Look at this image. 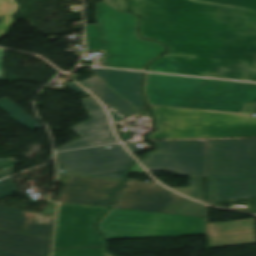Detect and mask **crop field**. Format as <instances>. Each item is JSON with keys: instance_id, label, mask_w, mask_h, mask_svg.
Returning a JSON list of instances; mask_svg holds the SVG:
<instances>
[{"instance_id": "obj_1", "label": "crop field", "mask_w": 256, "mask_h": 256, "mask_svg": "<svg viewBox=\"0 0 256 256\" xmlns=\"http://www.w3.org/2000/svg\"><path fill=\"white\" fill-rule=\"evenodd\" d=\"M170 52L150 71L256 81V0H131Z\"/></svg>"}, {"instance_id": "obj_2", "label": "crop field", "mask_w": 256, "mask_h": 256, "mask_svg": "<svg viewBox=\"0 0 256 256\" xmlns=\"http://www.w3.org/2000/svg\"><path fill=\"white\" fill-rule=\"evenodd\" d=\"M96 18L97 24L86 25V42L89 50L106 53L103 66L144 70L147 62L166 50L136 36L138 18L131 13L97 3Z\"/></svg>"}, {"instance_id": "obj_3", "label": "crop field", "mask_w": 256, "mask_h": 256, "mask_svg": "<svg viewBox=\"0 0 256 256\" xmlns=\"http://www.w3.org/2000/svg\"><path fill=\"white\" fill-rule=\"evenodd\" d=\"M158 131L149 139L256 137V117L235 114L150 106Z\"/></svg>"}, {"instance_id": "obj_4", "label": "crop field", "mask_w": 256, "mask_h": 256, "mask_svg": "<svg viewBox=\"0 0 256 256\" xmlns=\"http://www.w3.org/2000/svg\"><path fill=\"white\" fill-rule=\"evenodd\" d=\"M107 240L206 235L205 218L111 208L98 224Z\"/></svg>"}, {"instance_id": "obj_5", "label": "crop field", "mask_w": 256, "mask_h": 256, "mask_svg": "<svg viewBox=\"0 0 256 256\" xmlns=\"http://www.w3.org/2000/svg\"><path fill=\"white\" fill-rule=\"evenodd\" d=\"M56 153L61 175L75 174L123 180L134 161L121 144Z\"/></svg>"}, {"instance_id": "obj_6", "label": "crop field", "mask_w": 256, "mask_h": 256, "mask_svg": "<svg viewBox=\"0 0 256 256\" xmlns=\"http://www.w3.org/2000/svg\"><path fill=\"white\" fill-rule=\"evenodd\" d=\"M207 176L256 179V139L206 141Z\"/></svg>"}, {"instance_id": "obj_7", "label": "crop field", "mask_w": 256, "mask_h": 256, "mask_svg": "<svg viewBox=\"0 0 256 256\" xmlns=\"http://www.w3.org/2000/svg\"><path fill=\"white\" fill-rule=\"evenodd\" d=\"M158 151L148 155L143 164L149 171H170L184 176H206L205 141L154 142Z\"/></svg>"}, {"instance_id": "obj_8", "label": "crop field", "mask_w": 256, "mask_h": 256, "mask_svg": "<svg viewBox=\"0 0 256 256\" xmlns=\"http://www.w3.org/2000/svg\"><path fill=\"white\" fill-rule=\"evenodd\" d=\"M106 208L60 203L54 248L105 245L93 227Z\"/></svg>"}, {"instance_id": "obj_9", "label": "crop field", "mask_w": 256, "mask_h": 256, "mask_svg": "<svg viewBox=\"0 0 256 256\" xmlns=\"http://www.w3.org/2000/svg\"><path fill=\"white\" fill-rule=\"evenodd\" d=\"M0 227L43 236V238L0 229V248L34 256H48L52 227L29 226L22 211L0 206Z\"/></svg>"}, {"instance_id": "obj_10", "label": "crop field", "mask_w": 256, "mask_h": 256, "mask_svg": "<svg viewBox=\"0 0 256 256\" xmlns=\"http://www.w3.org/2000/svg\"><path fill=\"white\" fill-rule=\"evenodd\" d=\"M120 182L70 175L55 200L108 207L111 193Z\"/></svg>"}, {"instance_id": "obj_11", "label": "crop field", "mask_w": 256, "mask_h": 256, "mask_svg": "<svg viewBox=\"0 0 256 256\" xmlns=\"http://www.w3.org/2000/svg\"><path fill=\"white\" fill-rule=\"evenodd\" d=\"M171 199L169 190L157 183L150 184L128 179L117 192L112 207L160 212Z\"/></svg>"}, {"instance_id": "obj_12", "label": "crop field", "mask_w": 256, "mask_h": 256, "mask_svg": "<svg viewBox=\"0 0 256 256\" xmlns=\"http://www.w3.org/2000/svg\"><path fill=\"white\" fill-rule=\"evenodd\" d=\"M83 100L92 116V120L72 128L83 138L59 147L56 151L118 142L110 126L101 130L108 119L104 108L93 97Z\"/></svg>"}, {"instance_id": "obj_13", "label": "crop field", "mask_w": 256, "mask_h": 256, "mask_svg": "<svg viewBox=\"0 0 256 256\" xmlns=\"http://www.w3.org/2000/svg\"><path fill=\"white\" fill-rule=\"evenodd\" d=\"M209 248L256 243L255 219L208 224Z\"/></svg>"}, {"instance_id": "obj_14", "label": "crop field", "mask_w": 256, "mask_h": 256, "mask_svg": "<svg viewBox=\"0 0 256 256\" xmlns=\"http://www.w3.org/2000/svg\"><path fill=\"white\" fill-rule=\"evenodd\" d=\"M95 75L136 109L141 110L145 104L141 94L143 73L97 68Z\"/></svg>"}, {"instance_id": "obj_15", "label": "crop field", "mask_w": 256, "mask_h": 256, "mask_svg": "<svg viewBox=\"0 0 256 256\" xmlns=\"http://www.w3.org/2000/svg\"><path fill=\"white\" fill-rule=\"evenodd\" d=\"M80 84L100 98L107 107H112L126 118L139 113L138 110L116 94L107 84L100 81L97 77L80 82Z\"/></svg>"}, {"instance_id": "obj_16", "label": "crop field", "mask_w": 256, "mask_h": 256, "mask_svg": "<svg viewBox=\"0 0 256 256\" xmlns=\"http://www.w3.org/2000/svg\"><path fill=\"white\" fill-rule=\"evenodd\" d=\"M216 201L249 198V180L215 179Z\"/></svg>"}, {"instance_id": "obj_17", "label": "crop field", "mask_w": 256, "mask_h": 256, "mask_svg": "<svg viewBox=\"0 0 256 256\" xmlns=\"http://www.w3.org/2000/svg\"><path fill=\"white\" fill-rule=\"evenodd\" d=\"M172 197V201L162 212L205 217L203 204L190 201L175 193L172 194Z\"/></svg>"}, {"instance_id": "obj_18", "label": "crop field", "mask_w": 256, "mask_h": 256, "mask_svg": "<svg viewBox=\"0 0 256 256\" xmlns=\"http://www.w3.org/2000/svg\"><path fill=\"white\" fill-rule=\"evenodd\" d=\"M190 185L188 188H172L173 190L191 196L205 203L215 205L214 179L207 178V196L208 202L204 201L203 178L190 177Z\"/></svg>"}, {"instance_id": "obj_19", "label": "crop field", "mask_w": 256, "mask_h": 256, "mask_svg": "<svg viewBox=\"0 0 256 256\" xmlns=\"http://www.w3.org/2000/svg\"><path fill=\"white\" fill-rule=\"evenodd\" d=\"M0 108L8 113L10 118L14 119L30 130L38 128V124L42 126V124H40L7 98L0 100Z\"/></svg>"}, {"instance_id": "obj_20", "label": "crop field", "mask_w": 256, "mask_h": 256, "mask_svg": "<svg viewBox=\"0 0 256 256\" xmlns=\"http://www.w3.org/2000/svg\"><path fill=\"white\" fill-rule=\"evenodd\" d=\"M19 4L14 0H0V38L8 33L14 19L10 17L18 8Z\"/></svg>"}, {"instance_id": "obj_21", "label": "crop field", "mask_w": 256, "mask_h": 256, "mask_svg": "<svg viewBox=\"0 0 256 256\" xmlns=\"http://www.w3.org/2000/svg\"><path fill=\"white\" fill-rule=\"evenodd\" d=\"M53 256H112L106 252V247L54 250Z\"/></svg>"}, {"instance_id": "obj_22", "label": "crop field", "mask_w": 256, "mask_h": 256, "mask_svg": "<svg viewBox=\"0 0 256 256\" xmlns=\"http://www.w3.org/2000/svg\"><path fill=\"white\" fill-rule=\"evenodd\" d=\"M29 225L53 226L55 217L23 211Z\"/></svg>"}, {"instance_id": "obj_23", "label": "crop field", "mask_w": 256, "mask_h": 256, "mask_svg": "<svg viewBox=\"0 0 256 256\" xmlns=\"http://www.w3.org/2000/svg\"><path fill=\"white\" fill-rule=\"evenodd\" d=\"M16 192V189L13 186L11 178L3 180L0 182V199Z\"/></svg>"}, {"instance_id": "obj_24", "label": "crop field", "mask_w": 256, "mask_h": 256, "mask_svg": "<svg viewBox=\"0 0 256 256\" xmlns=\"http://www.w3.org/2000/svg\"><path fill=\"white\" fill-rule=\"evenodd\" d=\"M103 2L117 8L120 11L127 12L125 0H103Z\"/></svg>"}, {"instance_id": "obj_25", "label": "crop field", "mask_w": 256, "mask_h": 256, "mask_svg": "<svg viewBox=\"0 0 256 256\" xmlns=\"http://www.w3.org/2000/svg\"><path fill=\"white\" fill-rule=\"evenodd\" d=\"M19 164L12 159H0V171Z\"/></svg>"}, {"instance_id": "obj_26", "label": "crop field", "mask_w": 256, "mask_h": 256, "mask_svg": "<svg viewBox=\"0 0 256 256\" xmlns=\"http://www.w3.org/2000/svg\"><path fill=\"white\" fill-rule=\"evenodd\" d=\"M56 206H57V203L52 202V203H51L47 208H45L41 213H42V214H48V215H53V216H55Z\"/></svg>"}, {"instance_id": "obj_27", "label": "crop field", "mask_w": 256, "mask_h": 256, "mask_svg": "<svg viewBox=\"0 0 256 256\" xmlns=\"http://www.w3.org/2000/svg\"><path fill=\"white\" fill-rule=\"evenodd\" d=\"M0 256H29V255H25V254L13 252V251H8V250L0 249Z\"/></svg>"}, {"instance_id": "obj_28", "label": "crop field", "mask_w": 256, "mask_h": 256, "mask_svg": "<svg viewBox=\"0 0 256 256\" xmlns=\"http://www.w3.org/2000/svg\"><path fill=\"white\" fill-rule=\"evenodd\" d=\"M16 166L0 172V179L7 177L15 172Z\"/></svg>"}, {"instance_id": "obj_29", "label": "crop field", "mask_w": 256, "mask_h": 256, "mask_svg": "<svg viewBox=\"0 0 256 256\" xmlns=\"http://www.w3.org/2000/svg\"><path fill=\"white\" fill-rule=\"evenodd\" d=\"M66 85L69 86L76 93H87L75 83H67Z\"/></svg>"}, {"instance_id": "obj_30", "label": "crop field", "mask_w": 256, "mask_h": 256, "mask_svg": "<svg viewBox=\"0 0 256 256\" xmlns=\"http://www.w3.org/2000/svg\"><path fill=\"white\" fill-rule=\"evenodd\" d=\"M131 173L147 174L138 163L133 166Z\"/></svg>"}, {"instance_id": "obj_31", "label": "crop field", "mask_w": 256, "mask_h": 256, "mask_svg": "<svg viewBox=\"0 0 256 256\" xmlns=\"http://www.w3.org/2000/svg\"><path fill=\"white\" fill-rule=\"evenodd\" d=\"M5 50L0 49V78H3V56Z\"/></svg>"}, {"instance_id": "obj_32", "label": "crop field", "mask_w": 256, "mask_h": 256, "mask_svg": "<svg viewBox=\"0 0 256 256\" xmlns=\"http://www.w3.org/2000/svg\"><path fill=\"white\" fill-rule=\"evenodd\" d=\"M251 197H256V180H250Z\"/></svg>"}, {"instance_id": "obj_33", "label": "crop field", "mask_w": 256, "mask_h": 256, "mask_svg": "<svg viewBox=\"0 0 256 256\" xmlns=\"http://www.w3.org/2000/svg\"><path fill=\"white\" fill-rule=\"evenodd\" d=\"M256 105L247 104L243 113H253Z\"/></svg>"}, {"instance_id": "obj_34", "label": "crop field", "mask_w": 256, "mask_h": 256, "mask_svg": "<svg viewBox=\"0 0 256 256\" xmlns=\"http://www.w3.org/2000/svg\"><path fill=\"white\" fill-rule=\"evenodd\" d=\"M109 110H110V112L112 114V117H113L115 123L118 122V121L123 120V118L120 117L118 114H116L114 111H112L111 109H109Z\"/></svg>"}, {"instance_id": "obj_35", "label": "crop field", "mask_w": 256, "mask_h": 256, "mask_svg": "<svg viewBox=\"0 0 256 256\" xmlns=\"http://www.w3.org/2000/svg\"><path fill=\"white\" fill-rule=\"evenodd\" d=\"M133 153H138L134 144L130 143V144H125Z\"/></svg>"}, {"instance_id": "obj_36", "label": "crop field", "mask_w": 256, "mask_h": 256, "mask_svg": "<svg viewBox=\"0 0 256 256\" xmlns=\"http://www.w3.org/2000/svg\"><path fill=\"white\" fill-rule=\"evenodd\" d=\"M68 177H69V175H68V176L59 177L58 180H57V182H59V183H61V184L64 185V183L66 182V180H67Z\"/></svg>"}, {"instance_id": "obj_37", "label": "crop field", "mask_w": 256, "mask_h": 256, "mask_svg": "<svg viewBox=\"0 0 256 256\" xmlns=\"http://www.w3.org/2000/svg\"><path fill=\"white\" fill-rule=\"evenodd\" d=\"M119 137H120V136H119ZM122 138H123L124 140H126V139H131L130 136H129V133L122 135ZM120 139H121V137H120ZM121 140H122V139H121ZM124 140H122V141H124Z\"/></svg>"}, {"instance_id": "obj_38", "label": "crop field", "mask_w": 256, "mask_h": 256, "mask_svg": "<svg viewBox=\"0 0 256 256\" xmlns=\"http://www.w3.org/2000/svg\"><path fill=\"white\" fill-rule=\"evenodd\" d=\"M108 125H110V124H109V120L106 122V124H105L104 127H106V126H108ZM104 127H103V128H104Z\"/></svg>"}]
</instances>
